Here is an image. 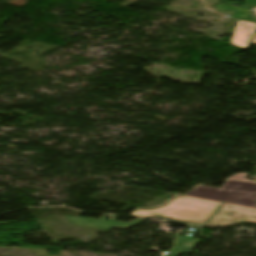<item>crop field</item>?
Here are the masks:
<instances>
[{
    "instance_id": "4",
    "label": "crop field",
    "mask_w": 256,
    "mask_h": 256,
    "mask_svg": "<svg viewBox=\"0 0 256 256\" xmlns=\"http://www.w3.org/2000/svg\"><path fill=\"white\" fill-rule=\"evenodd\" d=\"M255 29L256 24L239 20L237 22L234 35L231 39V43L237 46L248 48V41L251 39Z\"/></svg>"
},
{
    "instance_id": "7",
    "label": "crop field",
    "mask_w": 256,
    "mask_h": 256,
    "mask_svg": "<svg viewBox=\"0 0 256 256\" xmlns=\"http://www.w3.org/2000/svg\"><path fill=\"white\" fill-rule=\"evenodd\" d=\"M247 175H248V173H237L228 179H238V180L249 181V180L245 179Z\"/></svg>"
},
{
    "instance_id": "6",
    "label": "crop field",
    "mask_w": 256,
    "mask_h": 256,
    "mask_svg": "<svg viewBox=\"0 0 256 256\" xmlns=\"http://www.w3.org/2000/svg\"><path fill=\"white\" fill-rule=\"evenodd\" d=\"M218 10L232 11L231 17L241 19L248 22H255L256 19L250 14L249 9L245 7H235L227 4L216 5Z\"/></svg>"
},
{
    "instance_id": "9",
    "label": "crop field",
    "mask_w": 256,
    "mask_h": 256,
    "mask_svg": "<svg viewBox=\"0 0 256 256\" xmlns=\"http://www.w3.org/2000/svg\"><path fill=\"white\" fill-rule=\"evenodd\" d=\"M255 44H256V34H255V36L253 37L252 42H251V45H255Z\"/></svg>"
},
{
    "instance_id": "3",
    "label": "crop field",
    "mask_w": 256,
    "mask_h": 256,
    "mask_svg": "<svg viewBox=\"0 0 256 256\" xmlns=\"http://www.w3.org/2000/svg\"><path fill=\"white\" fill-rule=\"evenodd\" d=\"M242 221L256 223V208L224 203L207 222L206 227L213 228Z\"/></svg>"
},
{
    "instance_id": "10",
    "label": "crop field",
    "mask_w": 256,
    "mask_h": 256,
    "mask_svg": "<svg viewBox=\"0 0 256 256\" xmlns=\"http://www.w3.org/2000/svg\"><path fill=\"white\" fill-rule=\"evenodd\" d=\"M253 12L256 14V8H255V9H253Z\"/></svg>"
},
{
    "instance_id": "8",
    "label": "crop field",
    "mask_w": 256,
    "mask_h": 256,
    "mask_svg": "<svg viewBox=\"0 0 256 256\" xmlns=\"http://www.w3.org/2000/svg\"><path fill=\"white\" fill-rule=\"evenodd\" d=\"M239 1H245L248 7L256 6V0H239Z\"/></svg>"
},
{
    "instance_id": "2",
    "label": "crop field",
    "mask_w": 256,
    "mask_h": 256,
    "mask_svg": "<svg viewBox=\"0 0 256 256\" xmlns=\"http://www.w3.org/2000/svg\"><path fill=\"white\" fill-rule=\"evenodd\" d=\"M185 195L254 207L256 183L226 181L221 189L199 186Z\"/></svg>"
},
{
    "instance_id": "5",
    "label": "crop field",
    "mask_w": 256,
    "mask_h": 256,
    "mask_svg": "<svg viewBox=\"0 0 256 256\" xmlns=\"http://www.w3.org/2000/svg\"><path fill=\"white\" fill-rule=\"evenodd\" d=\"M68 220H70L78 225H83V226L102 227V228L114 227V228H122V229H128V228L144 221V220L138 219L131 223H121V222L80 219V218H75V217H69Z\"/></svg>"
},
{
    "instance_id": "1",
    "label": "crop field",
    "mask_w": 256,
    "mask_h": 256,
    "mask_svg": "<svg viewBox=\"0 0 256 256\" xmlns=\"http://www.w3.org/2000/svg\"><path fill=\"white\" fill-rule=\"evenodd\" d=\"M222 204L178 195L161 207L148 210L136 209L131 215L143 218L158 216L205 225Z\"/></svg>"
}]
</instances>
